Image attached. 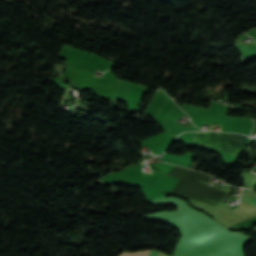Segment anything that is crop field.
I'll return each instance as SVG.
<instances>
[{"label":"crop field","mask_w":256,"mask_h":256,"mask_svg":"<svg viewBox=\"0 0 256 256\" xmlns=\"http://www.w3.org/2000/svg\"><path fill=\"white\" fill-rule=\"evenodd\" d=\"M243 198V197H242ZM246 200H248L249 202L253 203L256 205V198H244Z\"/></svg>","instance_id":"ac0d7876"},{"label":"crop field","mask_w":256,"mask_h":256,"mask_svg":"<svg viewBox=\"0 0 256 256\" xmlns=\"http://www.w3.org/2000/svg\"><path fill=\"white\" fill-rule=\"evenodd\" d=\"M147 252H148V251H146V252H140V253H132V254H124V253H122L121 256H146ZM157 256H167V255H165V254L159 252Z\"/></svg>","instance_id":"8a807250"}]
</instances>
